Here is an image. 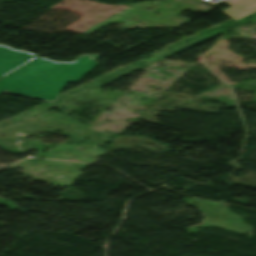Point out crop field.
<instances>
[{
    "label": "crop field",
    "mask_w": 256,
    "mask_h": 256,
    "mask_svg": "<svg viewBox=\"0 0 256 256\" xmlns=\"http://www.w3.org/2000/svg\"><path fill=\"white\" fill-rule=\"evenodd\" d=\"M98 56H82L73 63L37 58L0 79V92L52 102L68 81L77 82L97 66L94 60Z\"/></svg>",
    "instance_id": "1"
},
{
    "label": "crop field",
    "mask_w": 256,
    "mask_h": 256,
    "mask_svg": "<svg viewBox=\"0 0 256 256\" xmlns=\"http://www.w3.org/2000/svg\"><path fill=\"white\" fill-rule=\"evenodd\" d=\"M36 56L0 46V77L26 63Z\"/></svg>",
    "instance_id": "2"
},
{
    "label": "crop field",
    "mask_w": 256,
    "mask_h": 256,
    "mask_svg": "<svg viewBox=\"0 0 256 256\" xmlns=\"http://www.w3.org/2000/svg\"><path fill=\"white\" fill-rule=\"evenodd\" d=\"M225 2L232 7L222 10V12L235 21L256 12V0H230Z\"/></svg>",
    "instance_id": "3"
}]
</instances>
